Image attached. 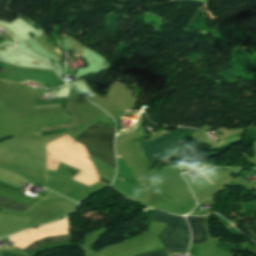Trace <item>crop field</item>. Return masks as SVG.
<instances>
[{"label":"crop field","mask_w":256,"mask_h":256,"mask_svg":"<svg viewBox=\"0 0 256 256\" xmlns=\"http://www.w3.org/2000/svg\"><path fill=\"white\" fill-rule=\"evenodd\" d=\"M196 130L187 128H178V130L172 134L154 140L152 142H140L146 153L145 156L148 159L149 169L152 168L155 161L158 159L176 154V142L184 133H191Z\"/></svg>","instance_id":"crop-field-3"},{"label":"crop field","mask_w":256,"mask_h":256,"mask_svg":"<svg viewBox=\"0 0 256 256\" xmlns=\"http://www.w3.org/2000/svg\"><path fill=\"white\" fill-rule=\"evenodd\" d=\"M25 183L26 182H24L23 186L25 185ZM0 195L29 204V205L40 200L34 197L27 196L25 194H21L20 190H17L13 187L7 186L2 183H0ZM2 196H0V207L14 209L18 211H25L30 207L29 205H26Z\"/></svg>","instance_id":"crop-field-4"},{"label":"crop field","mask_w":256,"mask_h":256,"mask_svg":"<svg viewBox=\"0 0 256 256\" xmlns=\"http://www.w3.org/2000/svg\"><path fill=\"white\" fill-rule=\"evenodd\" d=\"M120 157H122V156H117V158H120Z\"/></svg>","instance_id":"crop-field-9"},{"label":"crop field","mask_w":256,"mask_h":256,"mask_svg":"<svg viewBox=\"0 0 256 256\" xmlns=\"http://www.w3.org/2000/svg\"><path fill=\"white\" fill-rule=\"evenodd\" d=\"M151 221L170 224L158 235L168 253L182 252L186 249L190 240V230L184 218L155 212Z\"/></svg>","instance_id":"crop-field-2"},{"label":"crop field","mask_w":256,"mask_h":256,"mask_svg":"<svg viewBox=\"0 0 256 256\" xmlns=\"http://www.w3.org/2000/svg\"><path fill=\"white\" fill-rule=\"evenodd\" d=\"M9 249H12V247H10Z\"/></svg>","instance_id":"crop-field-10"},{"label":"crop field","mask_w":256,"mask_h":256,"mask_svg":"<svg viewBox=\"0 0 256 256\" xmlns=\"http://www.w3.org/2000/svg\"><path fill=\"white\" fill-rule=\"evenodd\" d=\"M113 132V129L98 121L74 140L84 144L96 158L115 168Z\"/></svg>","instance_id":"crop-field-1"},{"label":"crop field","mask_w":256,"mask_h":256,"mask_svg":"<svg viewBox=\"0 0 256 256\" xmlns=\"http://www.w3.org/2000/svg\"><path fill=\"white\" fill-rule=\"evenodd\" d=\"M193 234V244L205 241V225L203 217H187Z\"/></svg>","instance_id":"crop-field-5"},{"label":"crop field","mask_w":256,"mask_h":256,"mask_svg":"<svg viewBox=\"0 0 256 256\" xmlns=\"http://www.w3.org/2000/svg\"><path fill=\"white\" fill-rule=\"evenodd\" d=\"M59 106V105H58Z\"/></svg>","instance_id":"crop-field-12"},{"label":"crop field","mask_w":256,"mask_h":256,"mask_svg":"<svg viewBox=\"0 0 256 256\" xmlns=\"http://www.w3.org/2000/svg\"><path fill=\"white\" fill-rule=\"evenodd\" d=\"M67 239H69V235L40 239V240L34 242L33 244H31L27 249H25V251L30 253L35 247H37L43 243L61 241V240H67Z\"/></svg>","instance_id":"crop-field-6"},{"label":"crop field","mask_w":256,"mask_h":256,"mask_svg":"<svg viewBox=\"0 0 256 256\" xmlns=\"http://www.w3.org/2000/svg\"><path fill=\"white\" fill-rule=\"evenodd\" d=\"M137 256H168V254L165 251V249H162V250L149 252V253H145V254H141V255H137Z\"/></svg>","instance_id":"crop-field-7"},{"label":"crop field","mask_w":256,"mask_h":256,"mask_svg":"<svg viewBox=\"0 0 256 256\" xmlns=\"http://www.w3.org/2000/svg\"><path fill=\"white\" fill-rule=\"evenodd\" d=\"M203 177H205L204 175H202ZM206 178V177H205ZM207 179V178H206ZM208 180V179H207ZM209 182H211L210 180H208ZM212 183V182H211ZM213 184V183H212ZM214 185V184H213Z\"/></svg>","instance_id":"crop-field-8"},{"label":"crop field","mask_w":256,"mask_h":256,"mask_svg":"<svg viewBox=\"0 0 256 256\" xmlns=\"http://www.w3.org/2000/svg\"><path fill=\"white\" fill-rule=\"evenodd\" d=\"M126 111H129V110H126ZM129 112H131V111H129Z\"/></svg>","instance_id":"crop-field-11"}]
</instances>
